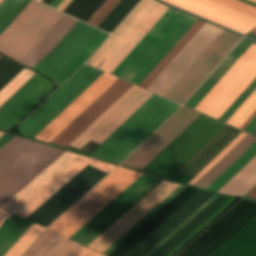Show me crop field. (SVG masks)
I'll list each match as a JSON object with an SVG mask.
<instances>
[{
  "instance_id": "obj_1",
  "label": "crop field",
  "mask_w": 256,
  "mask_h": 256,
  "mask_svg": "<svg viewBox=\"0 0 256 256\" xmlns=\"http://www.w3.org/2000/svg\"><path fill=\"white\" fill-rule=\"evenodd\" d=\"M88 164L107 173L116 167L66 151L2 208L26 218Z\"/></svg>"
},
{
  "instance_id": "obj_2",
  "label": "crop field",
  "mask_w": 256,
  "mask_h": 256,
  "mask_svg": "<svg viewBox=\"0 0 256 256\" xmlns=\"http://www.w3.org/2000/svg\"><path fill=\"white\" fill-rule=\"evenodd\" d=\"M179 107L154 94L91 156L121 163Z\"/></svg>"
},
{
  "instance_id": "obj_3",
  "label": "crop field",
  "mask_w": 256,
  "mask_h": 256,
  "mask_svg": "<svg viewBox=\"0 0 256 256\" xmlns=\"http://www.w3.org/2000/svg\"><path fill=\"white\" fill-rule=\"evenodd\" d=\"M167 9L154 0H142L87 63L111 74ZM100 57L104 59L93 65Z\"/></svg>"
},
{
  "instance_id": "obj_4",
  "label": "crop field",
  "mask_w": 256,
  "mask_h": 256,
  "mask_svg": "<svg viewBox=\"0 0 256 256\" xmlns=\"http://www.w3.org/2000/svg\"><path fill=\"white\" fill-rule=\"evenodd\" d=\"M141 175L118 167L48 228L69 238Z\"/></svg>"
},
{
  "instance_id": "obj_5",
  "label": "crop field",
  "mask_w": 256,
  "mask_h": 256,
  "mask_svg": "<svg viewBox=\"0 0 256 256\" xmlns=\"http://www.w3.org/2000/svg\"><path fill=\"white\" fill-rule=\"evenodd\" d=\"M226 125L201 115L143 171L170 179Z\"/></svg>"
},
{
  "instance_id": "obj_6",
  "label": "crop field",
  "mask_w": 256,
  "mask_h": 256,
  "mask_svg": "<svg viewBox=\"0 0 256 256\" xmlns=\"http://www.w3.org/2000/svg\"><path fill=\"white\" fill-rule=\"evenodd\" d=\"M61 15L62 13L31 0L0 33V52L18 61Z\"/></svg>"
},
{
  "instance_id": "obj_7",
  "label": "crop field",
  "mask_w": 256,
  "mask_h": 256,
  "mask_svg": "<svg viewBox=\"0 0 256 256\" xmlns=\"http://www.w3.org/2000/svg\"><path fill=\"white\" fill-rule=\"evenodd\" d=\"M256 77V45L251 44L195 110L216 120Z\"/></svg>"
},
{
  "instance_id": "obj_8",
  "label": "crop field",
  "mask_w": 256,
  "mask_h": 256,
  "mask_svg": "<svg viewBox=\"0 0 256 256\" xmlns=\"http://www.w3.org/2000/svg\"><path fill=\"white\" fill-rule=\"evenodd\" d=\"M102 74L84 65L19 126L21 134L34 138Z\"/></svg>"
},
{
  "instance_id": "obj_9",
  "label": "crop field",
  "mask_w": 256,
  "mask_h": 256,
  "mask_svg": "<svg viewBox=\"0 0 256 256\" xmlns=\"http://www.w3.org/2000/svg\"><path fill=\"white\" fill-rule=\"evenodd\" d=\"M152 95L153 93L132 85L70 146L80 148L89 140L101 144Z\"/></svg>"
},
{
  "instance_id": "obj_10",
  "label": "crop field",
  "mask_w": 256,
  "mask_h": 256,
  "mask_svg": "<svg viewBox=\"0 0 256 256\" xmlns=\"http://www.w3.org/2000/svg\"><path fill=\"white\" fill-rule=\"evenodd\" d=\"M106 175L88 165L27 219L47 227Z\"/></svg>"
},
{
  "instance_id": "obj_11",
  "label": "crop field",
  "mask_w": 256,
  "mask_h": 256,
  "mask_svg": "<svg viewBox=\"0 0 256 256\" xmlns=\"http://www.w3.org/2000/svg\"><path fill=\"white\" fill-rule=\"evenodd\" d=\"M179 186L163 180L88 247L102 253Z\"/></svg>"
},
{
  "instance_id": "obj_12",
  "label": "crop field",
  "mask_w": 256,
  "mask_h": 256,
  "mask_svg": "<svg viewBox=\"0 0 256 256\" xmlns=\"http://www.w3.org/2000/svg\"><path fill=\"white\" fill-rule=\"evenodd\" d=\"M221 31L206 23L148 90L164 96Z\"/></svg>"
},
{
  "instance_id": "obj_13",
  "label": "crop field",
  "mask_w": 256,
  "mask_h": 256,
  "mask_svg": "<svg viewBox=\"0 0 256 256\" xmlns=\"http://www.w3.org/2000/svg\"><path fill=\"white\" fill-rule=\"evenodd\" d=\"M51 89V82L35 74L0 107V129L9 131Z\"/></svg>"
},
{
  "instance_id": "obj_14",
  "label": "crop field",
  "mask_w": 256,
  "mask_h": 256,
  "mask_svg": "<svg viewBox=\"0 0 256 256\" xmlns=\"http://www.w3.org/2000/svg\"><path fill=\"white\" fill-rule=\"evenodd\" d=\"M96 31L97 29L78 21L57 46L33 69L52 78L75 57Z\"/></svg>"
},
{
  "instance_id": "obj_15",
  "label": "crop field",
  "mask_w": 256,
  "mask_h": 256,
  "mask_svg": "<svg viewBox=\"0 0 256 256\" xmlns=\"http://www.w3.org/2000/svg\"><path fill=\"white\" fill-rule=\"evenodd\" d=\"M130 86L131 84L117 79L58 136H56L50 144L66 148Z\"/></svg>"
},
{
  "instance_id": "obj_16",
  "label": "crop field",
  "mask_w": 256,
  "mask_h": 256,
  "mask_svg": "<svg viewBox=\"0 0 256 256\" xmlns=\"http://www.w3.org/2000/svg\"><path fill=\"white\" fill-rule=\"evenodd\" d=\"M163 1L242 34L256 27V20L208 0Z\"/></svg>"
},
{
  "instance_id": "obj_17",
  "label": "crop field",
  "mask_w": 256,
  "mask_h": 256,
  "mask_svg": "<svg viewBox=\"0 0 256 256\" xmlns=\"http://www.w3.org/2000/svg\"><path fill=\"white\" fill-rule=\"evenodd\" d=\"M115 80L116 78L104 73L42 132H40L35 139L49 143Z\"/></svg>"
},
{
  "instance_id": "obj_18",
  "label": "crop field",
  "mask_w": 256,
  "mask_h": 256,
  "mask_svg": "<svg viewBox=\"0 0 256 256\" xmlns=\"http://www.w3.org/2000/svg\"><path fill=\"white\" fill-rule=\"evenodd\" d=\"M161 181V179L151 177L144 184L142 183V186L137 190L135 189V192H133L129 197L127 196L128 198H126L122 203L120 202L121 204H119L115 209L113 208L114 210L85 233L80 239H78L77 242L87 246Z\"/></svg>"
},
{
  "instance_id": "obj_19",
  "label": "crop field",
  "mask_w": 256,
  "mask_h": 256,
  "mask_svg": "<svg viewBox=\"0 0 256 256\" xmlns=\"http://www.w3.org/2000/svg\"><path fill=\"white\" fill-rule=\"evenodd\" d=\"M82 246L45 230L22 256H75Z\"/></svg>"
},
{
  "instance_id": "obj_20",
  "label": "crop field",
  "mask_w": 256,
  "mask_h": 256,
  "mask_svg": "<svg viewBox=\"0 0 256 256\" xmlns=\"http://www.w3.org/2000/svg\"><path fill=\"white\" fill-rule=\"evenodd\" d=\"M211 256H256V217Z\"/></svg>"
},
{
  "instance_id": "obj_21",
  "label": "crop field",
  "mask_w": 256,
  "mask_h": 256,
  "mask_svg": "<svg viewBox=\"0 0 256 256\" xmlns=\"http://www.w3.org/2000/svg\"><path fill=\"white\" fill-rule=\"evenodd\" d=\"M256 186V156L251 159L218 193L245 196Z\"/></svg>"
},
{
  "instance_id": "obj_22",
  "label": "crop field",
  "mask_w": 256,
  "mask_h": 256,
  "mask_svg": "<svg viewBox=\"0 0 256 256\" xmlns=\"http://www.w3.org/2000/svg\"><path fill=\"white\" fill-rule=\"evenodd\" d=\"M204 23L205 22L197 20L183 35V37L173 46V48L163 57V59L153 68V70L143 79L139 86L147 89Z\"/></svg>"
},
{
  "instance_id": "obj_23",
  "label": "crop field",
  "mask_w": 256,
  "mask_h": 256,
  "mask_svg": "<svg viewBox=\"0 0 256 256\" xmlns=\"http://www.w3.org/2000/svg\"><path fill=\"white\" fill-rule=\"evenodd\" d=\"M255 141H256L255 137L248 135L229 154H227L215 167H213L201 180H199L195 184V186L205 189L213 180H215L231 163H233Z\"/></svg>"
},
{
  "instance_id": "obj_24",
  "label": "crop field",
  "mask_w": 256,
  "mask_h": 256,
  "mask_svg": "<svg viewBox=\"0 0 256 256\" xmlns=\"http://www.w3.org/2000/svg\"><path fill=\"white\" fill-rule=\"evenodd\" d=\"M31 223L11 214L0 226V256L25 232Z\"/></svg>"
},
{
  "instance_id": "obj_25",
  "label": "crop field",
  "mask_w": 256,
  "mask_h": 256,
  "mask_svg": "<svg viewBox=\"0 0 256 256\" xmlns=\"http://www.w3.org/2000/svg\"><path fill=\"white\" fill-rule=\"evenodd\" d=\"M150 176L143 174L133 184H131L126 190H124L118 197H116L111 203H109L103 210H101L96 216H94L88 223H86L81 229H79L70 239L76 241L85 232H87L92 226H94L99 220H101L106 214H108L113 208H115L120 202H122L127 196H129L135 189H137L142 183H144Z\"/></svg>"
},
{
  "instance_id": "obj_26",
  "label": "crop field",
  "mask_w": 256,
  "mask_h": 256,
  "mask_svg": "<svg viewBox=\"0 0 256 256\" xmlns=\"http://www.w3.org/2000/svg\"><path fill=\"white\" fill-rule=\"evenodd\" d=\"M256 155V142L230 165L206 190L216 192Z\"/></svg>"
},
{
  "instance_id": "obj_27",
  "label": "crop field",
  "mask_w": 256,
  "mask_h": 256,
  "mask_svg": "<svg viewBox=\"0 0 256 256\" xmlns=\"http://www.w3.org/2000/svg\"><path fill=\"white\" fill-rule=\"evenodd\" d=\"M138 2L139 0H121L98 28L110 33Z\"/></svg>"
},
{
  "instance_id": "obj_28",
  "label": "crop field",
  "mask_w": 256,
  "mask_h": 256,
  "mask_svg": "<svg viewBox=\"0 0 256 256\" xmlns=\"http://www.w3.org/2000/svg\"><path fill=\"white\" fill-rule=\"evenodd\" d=\"M103 1L104 0H72L63 12L86 22Z\"/></svg>"
},
{
  "instance_id": "obj_29",
  "label": "crop field",
  "mask_w": 256,
  "mask_h": 256,
  "mask_svg": "<svg viewBox=\"0 0 256 256\" xmlns=\"http://www.w3.org/2000/svg\"><path fill=\"white\" fill-rule=\"evenodd\" d=\"M256 110V89L238 108V110L229 118L226 124L239 129L242 124Z\"/></svg>"
},
{
  "instance_id": "obj_30",
  "label": "crop field",
  "mask_w": 256,
  "mask_h": 256,
  "mask_svg": "<svg viewBox=\"0 0 256 256\" xmlns=\"http://www.w3.org/2000/svg\"><path fill=\"white\" fill-rule=\"evenodd\" d=\"M42 230V228L32 224L4 256H19Z\"/></svg>"
},
{
  "instance_id": "obj_31",
  "label": "crop field",
  "mask_w": 256,
  "mask_h": 256,
  "mask_svg": "<svg viewBox=\"0 0 256 256\" xmlns=\"http://www.w3.org/2000/svg\"><path fill=\"white\" fill-rule=\"evenodd\" d=\"M35 73L23 69L16 77H14L1 91H0V106L10 98L26 81H28Z\"/></svg>"
},
{
  "instance_id": "obj_32",
  "label": "crop field",
  "mask_w": 256,
  "mask_h": 256,
  "mask_svg": "<svg viewBox=\"0 0 256 256\" xmlns=\"http://www.w3.org/2000/svg\"><path fill=\"white\" fill-rule=\"evenodd\" d=\"M236 200L237 199L235 198H230L203 223H201L196 229H194L188 236H186L180 243H178L173 249H171L165 256H172L174 253H176L182 246H184L189 240H191L197 233H199L204 227H206L212 220H214L219 214H221Z\"/></svg>"
},
{
  "instance_id": "obj_33",
  "label": "crop field",
  "mask_w": 256,
  "mask_h": 256,
  "mask_svg": "<svg viewBox=\"0 0 256 256\" xmlns=\"http://www.w3.org/2000/svg\"><path fill=\"white\" fill-rule=\"evenodd\" d=\"M23 67L5 59H0V90L14 77Z\"/></svg>"
},
{
  "instance_id": "obj_34",
  "label": "crop field",
  "mask_w": 256,
  "mask_h": 256,
  "mask_svg": "<svg viewBox=\"0 0 256 256\" xmlns=\"http://www.w3.org/2000/svg\"><path fill=\"white\" fill-rule=\"evenodd\" d=\"M247 134L241 133L234 141H232L216 158H214L197 176H195L188 184L194 185L201 179L213 166H215L227 153H229Z\"/></svg>"
},
{
  "instance_id": "obj_35",
  "label": "crop field",
  "mask_w": 256,
  "mask_h": 256,
  "mask_svg": "<svg viewBox=\"0 0 256 256\" xmlns=\"http://www.w3.org/2000/svg\"><path fill=\"white\" fill-rule=\"evenodd\" d=\"M232 10L256 19V8L237 0H211Z\"/></svg>"
},
{
  "instance_id": "obj_36",
  "label": "crop field",
  "mask_w": 256,
  "mask_h": 256,
  "mask_svg": "<svg viewBox=\"0 0 256 256\" xmlns=\"http://www.w3.org/2000/svg\"><path fill=\"white\" fill-rule=\"evenodd\" d=\"M119 1L120 0H105L97 11L90 17L87 23L97 27Z\"/></svg>"
},
{
  "instance_id": "obj_37",
  "label": "crop field",
  "mask_w": 256,
  "mask_h": 256,
  "mask_svg": "<svg viewBox=\"0 0 256 256\" xmlns=\"http://www.w3.org/2000/svg\"><path fill=\"white\" fill-rule=\"evenodd\" d=\"M256 88V79L248 86V88L239 96V98L231 105V107L222 115L219 121L225 123L228 118L237 110V108L245 101V99Z\"/></svg>"
},
{
  "instance_id": "obj_38",
  "label": "crop field",
  "mask_w": 256,
  "mask_h": 256,
  "mask_svg": "<svg viewBox=\"0 0 256 256\" xmlns=\"http://www.w3.org/2000/svg\"><path fill=\"white\" fill-rule=\"evenodd\" d=\"M216 197V195H213L211 198H209L203 205H201L196 211H194L188 218H186L181 224H179L173 231H171L165 238H163L144 256H149L153 251H155L160 245H162L168 238H170L175 232H177L183 225H185L191 218H193L198 212H200L206 205H208Z\"/></svg>"
},
{
  "instance_id": "obj_39",
  "label": "crop field",
  "mask_w": 256,
  "mask_h": 256,
  "mask_svg": "<svg viewBox=\"0 0 256 256\" xmlns=\"http://www.w3.org/2000/svg\"><path fill=\"white\" fill-rule=\"evenodd\" d=\"M30 0H24L19 7L12 13V15L5 21V23L0 27V32L11 22V20L26 6ZM13 21V20H12Z\"/></svg>"
},
{
  "instance_id": "obj_40",
  "label": "crop field",
  "mask_w": 256,
  "mask_h": 256,
  "mask_svg": "<svg viewBox=\"0 0 256 256\" xmlns=\"http://www.w3.org/2000/svg\"><path fill=\"white\" fill-rule=\"evenodd\" d=\"M76 256H102V255L83 247Z\"/></svg>"
},
{
  "instance_id": "obj_41",
  "label": "crop field",
  "mask_w": 256,
  "mask_h": 256,
  "mask_svg": "<svg viewBox=\"0 0 256 256\" xmlns=\"http://www.w3.org/2000/svg\"><path fill=\"white\" fill-rule=\"evenodd\" d=\"M10 215V213L0 209V225L5 221V219Z\"/></svg>"
},
{
  "instance_id": "obj_42",
  "label": "crop field",
  "mask_w": 256,
  "mask_h": 256,
  "mask_svg": "<svg viewBox=\"0 0 256 256\" xmlns=\"http://www.w3.org/2000/svg\"><path fill=\"white\" fill-rule=\"evenodd\" d=\"M255 125H256V117L248 124V126L244 129V131L249 133Z\"/></svg>"
},
{
  "instance_id": "obj_43",
  "label": "crop field",
  "mask_w": 256,
  "mask_h": 256,
  "mask_svg": "<svg viewBox=\"0 0 256 256\" xmlns=\"http://www.w3.org/2000/svg\"><path fill=\"white\" fill-rule=\"evenodd\" d=\"M246 198L252 199L256 201V188H254L247 196Z\"/></svg>"
},
{
  "instance_id": "obj_44",
  "label": "crop field",
  "mask_w": 256,
  "mask_h": 256,
  "mask_svg": "<svg viewBox=\"0 0 256 256\" xmlns=\"http://www.w3.org/2000/svg\"><path fill=\"white\" fill-rule=\"evenodd\" d=\"M64 0H54L50 6L54 7V8H58L60 6V4L63 2Z\"/></svg>"
},
{
  "instance_id": "obj_45",
  "label": "crop field",
  "mask_w": 256,
  "mask_h": 256,
  "mask_svg": "<svg viewBox=\"0 0 256 256\" xmlns=\"http://www.w3.org/2000/svg\"><path fill=\"white\" fill-rule=\"evenodd\" d=\"M256 116V111L252 114V116L243 124V126L240 128L241 130H243L247 124Z\"/></svg>"
},
{
  "instance_id": "obj_46",
  "label": "crop field",
  "mask_w": 256,
  "mask_h": 256,
  "mask_svg": "<svg viewBox=\"0 0 256 256\" xmlns=\"http://www.w3.org/2000/svg\"><path fill=\"white\" fill-rule=\"evenodd\" d=\"M70 1H71V0H65V1L61 4V6L58 8V10L62 11Z\"/></svg>"
},
{
  "instance_id": "obj_47",
  "label": "crop field",
  "mask_w": 256,
  "mask_h": 256,
  "mask_svg": "<svg viewBox=\"0 0 256 256\" xmlns=\"http://www.w3.org/2000/svg\"><path fill=\"white\" fill-rule=\"evenodd\" d=\"M53 0H43L42 3L49 5Z\"/></svg>"
},
{
  "instance_id": "obj_48",
  "label": "crop field",
  "mask_w": 256,
  "mask_h": 256,
  "mask_svg": "<svg viewBox=\"0 0 256 256\" xmlns=\"http://www.w3.org/2000/svg\"><path fill=\"white\" fill-rule=\"evenodd\" d=\"M247 36H249V37H251V38H253V39L256 40V35H254V34H252V33L248 34Z\"/></svg>"
},
{
  "instance_id": "obj_49",
  "label": "crop field",
  "mask_w": 256,
  "mask_h": 256,
  "mask_svg": "<svg viewBox=\"0 0 256 256\" xmlns=\"http://www.w3.org/2000/svg\"><path fill=\"white\" fill-rule=\"evenodd\" d=\"M6 135V133H4L2 136H0V139L3 137V136H5Z\"/></svg>"
},
{
  "instance_id": "obj_50",
  "label": "crop field",
  "mask_w": 256,
  "mask_h": 256,
  "mask_svg": "<svg viewBox=\"0 0 256 256\" xmlns=\"http://www.w3.org/2000/svg\"><path fill=\"white\" fill-rule=\"evenodd\" d=\"M249 1H252V2L256 3V0H249Z\"/></svg>"
},
{
  "instance_id": "obj_51",
  "label": "crop field",
  "mask_w": 256,
  "mask_h": 256,
  "mask_svg": "<svg viewBox=\"0 0 256 256\" xmlns=\"http://www.w3.org/2000/svg\"><path fill=\"white\" fill-rule=\"evenodd\" d=\"M252 33L256 34V30H254Z\"/></svg>"
},
{
  "instance_id": "obj_52",
  "label": "crop field",
  "mask_w": 256,
  "mask_h": 256,
  "mask_svg": "<svg viewBox=\"0 0 256 256\" xmlns=\"http://www.w3.org/2000/svg\"><path fill=\"white\" fill-rule=\"evenodd\" d=\"M3 133L2 132H0V135H2Z\"/></svg>"
},
{
  "instance_id": "obj_53",
  "label": "crop field",
  "mask_w": 256,
  "mask_h": 256,
  "mask_svg": "<svg viewBox=\"0 0 256 256\" xmlns=\"http://www.w3.org/2000/svg\"><path fill=\"white\" fill-rule=\"evenodd\" d=\"M2 1H3V0H0V4H1Z\"/></svg>"
},
{
  "instance_id": "obj_54",
  "label": "crop field",
  "mask_w": 256,
  "mask_h": 256,
  "mask_svg": "<svg viewBox=\"0 0 256 256\" xmlns=\"http://www.w3.org/2000/svg\"><path fill=\"white\" fill-rule=\"evenodd\" d=\"M38 1H40V2H41L42 0H38Z\"/></svg>"
},
{
  "instance_id": "obj_55",
  "label": "crop field",
  "mask_w": 256,
  "mask_h": 256,
  "mask_svg": "<svg viewBox=\"0 0 256 256\" xmlns=\"http://www.w3.org/2000/svg\"><path fill=\"white\" fill-rule=\"evenodd\" d=\"M254 135L256 136V133Z\"/></svg>"
},
{
  "instance_id": "obj_56",
  "label": "crop field",
  "mask_w": 256,
  "mask_h": 256,
  "mask_svg": "<svg viewBox=\"0 0 256 256\" xmlns=\"http://www.w3.org/2000/svg\"><path fill=\"white\" fill-rule=\"evenodd\" d=\"M0 58H1V56H0Z\"/></svg>"
}]
</instances>
